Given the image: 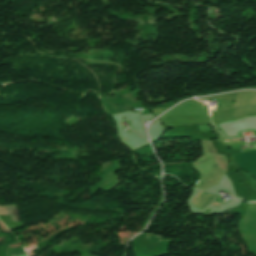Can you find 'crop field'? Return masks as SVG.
<instances>
[{"mask_svg": "<svg viewBox=\"0 0 256 256\" xmlns=\"http://www.w3.org/2000/svg\"><path fill=\"white\" fill-rule=\"evenodd\" d=\"M22 247H8V254L23 253Z\"/></svg>", "mask_w": 256, "mask_h": 256, "instance_id": "obj_1", "label": "crop field"}]
</instances>
